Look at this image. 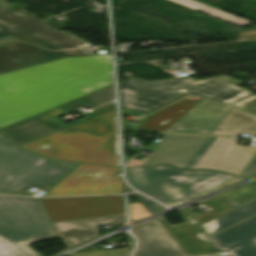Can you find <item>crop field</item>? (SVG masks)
Returning a JSON list of instances; mask_svg holds the SVG:
<instances>
[{"label":"crop field","mask_w":256,"mask_h":256,"mask_svg":"<svg viewBox=\"0 0 256 256\" xmlns=\"http://www.w3.org/2000/svg\"><path fill=\"white\" fill-rule=\"evenodd\" d=\"M111 84L110 54L68 57L0 74V128Z\"/></svg>","instance_id":"obj_1"},{"label":"crop field","mask_w":256,"mask_h":256,"mask_svg":"<svg viewBox=\"0 0 256 256\" xmlns=\"http://www.w3.org/2000/svg\"><path fill=\"white\" fill-rule=\"evenodd\" d=\"M20 147L52 159L120 167L115 109Z\"/></svg>","instance_id":"obj_2"},{"label":"crop field","mask_w":256,"mask_h":256,"mask_svg":"<svg viewBox=\"0 0 256 256\" xmlns=\"http://www.w3.org/2000/svg\"><path fill=\"white\" fill-rule=\"evenodd\" d=\"M120 106L152 112L189 93L228 105L252 92L214 77L195 82L191 77L145 81L130 78L119 83Z\"/></svg>","instance_id":"obj_3"},{"label":"crop field","mask_w":256,"mask_h":256,"mask_svg":"<svg viewBox=\"0 0 256 256\" xmlns=\"http://www.w3.org/2000/svg\"><path fill=\"white\" fill-rule=\"evenodd\" d=\"M54 237L40 199L0 195V256H39L28 244Z\"/></svg>","instance_id":"obj_4"},{"label":"crop field","mask_w":256,"mask_h":256,"mask_svg":"<svg viewBox=\"0 0 256 256\" xmlns=\"http://www.w3.org/2000/svg\"><path fill=\"white\" fill-rule=\"evenodd\" d=\"M127 177L135 188L175 206L235 176L209 170L182 171L160 165L128 168Z\"/></svg>","instance_id":"obj_5"},{"label":"crop field","mask_w":256,"mask_h":256,"mask_svg":"<svg viewBox=\"0 0 256 256\" xmlns=\"http://www.w3.org/2000/svg\"><path fill=\"white\" fill-rule=\"evenodd\" d=\"M79 163L51 161L17 148L0 135V193L17 195L29 184L54 186Z\"/></svg>","instance_id":"obj_6"},{"label":"crop field","mask_w":256,"mask_h":256,"mask_svg":"<svg viewBox=\"0 0 256 256\" xmlns=\"http://www.w3.org/2000/svg\"><path fill=\"white\" fill-rule=\"evenodd\" d=\"M11 38L50 50L92 46L79 37L59 32L34 17L0 8V41Z\"/></svg>","instance_id":"obj_7"},{"label":"crop field","mask_w":256,"mask_h":256,"mask_svg":"<svg viewBox=\"0 0 256 256\" xmlns=\"http://www.w3.org/2000/svg\"><path fill=\"white\" fill-rule=\"evenodd\" d=\"M113 99L114 89L112 85L79 99H76L74 101H71L62 106H59L57 108L14 123L10 126L0 129V131L12 143L19 146L64 129L62 126L55 123L51 119L83 107L85 105L93 108Z\"/></svg>","instance_id":"obj_8"},{"label":"crop field","mask_w":256,"mask_h":256,"mask_svg":"<svg viewBox=\"0 0 256 256\" xmlns=\"http://www.w3.org/2000/svg\"><path fill=\"white\" fill-rule=\"evenodd\" d=\"M120 168L80 163L43 196L122 193Z\"/></svg>","instance_id":"obj_9"},{"label":"crop field","mask_w":256,"mask_h":256,"mask_svg":"<svg viewBox=\"0 0 256 256\" xmlns=\"http://www.w3.org/2000/svg\"><path fill=\"white\" fill-rule=\"evenodd\" d=\"M255 151L256 145H235L232 139L209 137L184 169H209L238 176Z\"/></svg>","instance_id":"obj_10"},{"label":"crop field","mask_w":256,"mask_h":256,"mask_svg":"<svg viewBox=\"0 0 256 256\" xmlns=\"http://www.w3.org/2000/svg\"><path fill=\"white\" fill-rule=\"evenodd\" d=\"M41 200L52 222L124 212L122 195Z\"/></svg>","instance_id":"obj_11"},{"label":"crop field","mask_w":256,"mask_h":256,"mask_svg":"<svg viewBox=\"0 0 256 256\" xmlns=\"http://www.w3.org/2000/svg\"><path fill=\"white\" fill-rule=\"evenodd\" d=\"M207 138L208 136L164 133L150 157L142 161L132 159L126 167L168 164L183 169Z\"/></svg>","instance_id":"obj_12"},{"label":"crop field","mask_w":256,"mask_h":256,"mask_svg":"<svg viewBox=\"0 0 256 256\" xmlns=\"http://www.w3.org/2000/svg\"><path fill=\"white\" fill-rule=\"evenodd\" d=\"M86 55L80 48L50 51L15 39L0 42V73L56 60Z\"/></svg>","instance_id":"obj_13"},{"label":"crop field","mask_w":256,"mask_h":256,"mask_svg":"<svg viewBox=\"0 0 256 256\" xmlns=\"http://www.w3.org/2000/svg\"><path fill=\"white\" fill-rule=\"evenodd\" d=\"M179 212L185 223L171 225L164 216L156 221L188 256L217 253L190 207L179 209Z\"/></svg>","instance_id":"obj_14"},{"label":"crop field","mask_w":256,"mask_h":256,"mask_svg":"<svg viewBox=\"0 0 256 256\" xmlns=\"http://www.w3.org/2000/svg\"><path fill=\"white\" fill-rule=\"evenodd\" d=\"M230 108L202 99L165 132L210 135Z\"/></svg>","instance_id":"obj_15"},{"label":"crop field","mask_w":256,"mask_h":256,"mask_svg":"<svg viewBox=\"0 0 256 256\" xmlns=\"http://www.w3.org/2000/svg\"><path fill=\"white\" fill-rule=\"evenodd\" d=\"M211 240L217 250L231 253L221 256H256V216L211 237Z\"/></svg>","instance_id":"obj_16"},{"label":"crop field","mask_w":256,"mask_h":256,"mask_svg":"<svg viewBox=\"0 0 256 256\" xmlns=\"http://www.w3.org/2000/svg\"><path fill=\"white\" fill-rule=\"evenodd\" d=\"M134 233L141 243L135 256H187L155 220L134 229Z\"/></svg>","instance_id":"obj_17"},{"label":"crop field","mask_w":256,"mask_h":256,"mask_svg":"<svg viewBox=\"0 0 256 256\" xmlns=\"http://www.w3.org/2000/svg\"><path fill=\"white\" fill-rule=\"evenodd\" d=\"M110 223L111 226L125 223L124 213L88 219L52 223L58 237L95 233L96 224Z\"/></svg>","instance_id":"obj_18"},{"label":"crop field","mask_w":256,"mask_h":256,"mask_svg":"<svg viewBox=\"0 0 256 256\" xmlns=\"http://www.w3.org/2000/svg\"><path fill=\"white\" fill-rule=\"evenodd\" d=\"M242 133L256 134V116L231 109L211 135L232 137Z\"/></svg>","instance_id":"obj_19"},{"label":"crop field","mask_w":256,"mask_h":256,"mask_svg":"<svg viewBox=\"0 0 256 256\" xmlns=\"http://www.w3.org/2000/svg\"><path fill=\"white\" fill-rule=\"evenodd\" d=\"M195 104H197V102L183 99L154 113L136 128L164 131Z\"/></svg>","instance_id":"obj_20"},{"label":"crop field","mask_w":256,"mask_h":256,"mask_svg":"<svg viewBox=\"0 0 256 256\" xmlns=\"http://www.w3.org/2000/svg\"><path fill=\"white\" fill-rule=\"evenodd\" d=\"M256 215V198L202 225L209 237Z\"/></svg>","instance_id":"obj_21"},{"label":"crop field","mask_w":256,"mask_h":256,"mask_svg":"<svg viewBox=\"0 0 256 256\" xmlns=\"http://www.w3.org/2000/svg\"><path fill=\"white\" fill-rule=\"evenodd\" d=\"M171 1L182 4V5L190 7V8H193L195 10L204 12V13L212 15L214 17L223 19L225 21L234 23V24L239 25V26H244V25L250 23V22H248V21H246L242 18H239V17H236L234 15L222 12L220 10L208 7L206 5L194 2L192 0H171Z\"/></svg>","instance_id":"obj_22"},{"label":"crop field","mask_w":256,"mask_h":256,"mask_svg":"<svg viewBox=\"0 0 256 256\" xmlns=\"http://www.w3.org/2000/svg\"><path fill=\"white\" fill-rule=\"evenodd\" d=\"M98 233L62 238L67 250L98 237Z\"/></svg>","instance_id":"obj_23"},{"label":"crop field","mask_w":256,"mask_h":256,"mask_svg":"<svg viewBox=\"0 0 256 256\" xmlns=\"http://www.w3.org/2000/svg\"><path fill=\"white\" fill-rule=\"evenodd\" d=\"M231 106L256 114V94Z\"/></svg>","instance_id":"obj_24"},{"label":"crop field","mask_w":256,"mask_h":256,"mask_svg":"<svg viewBox=\"0 0 256 256\" xmlns=\"http://www.w3.org/2000/svg\"><path fill=\"white\" fill-rule=\"evenodd\" d=\"M133 195L141 202V204L145 207V209L149 212L150 215L155 214V213L160 212L165 209L161 205H159V204H157L139 194H133Z\"/></svg>","instance_id":"obj_25"},{"label":"crop field","mask_w":256,"mask_h":256,"mask_svg":"<svg viewBox=\"0 0 256 256\" xmlns=\"http://www.w3.org/2000/svg\"><path fill=\"white\" fill-rule=\"evenodd\" d=\"M130 216L133 220H139L149 216V214L140 203H137L130 205Z\"/></svg>","instance_id":"obj_26"},{"label":"crop field","mask_w":256,"mask_h":256,"mask_svg":"<svg viewBox=\"0 0 256 256\" xmlns=\"http://www.w3.org/2000/svg\"><path fill=\"white\" fill-rule=\"evenodd\" d=\"M256 175V154L240 174V177L247 179Z\"/></svg>","instance_id":"obj_27"},{"label":"crop field","mask_w":256,"mask_h":256,"mask_svg":"<svg viewBox=\"0 0 256 256\" xmlns=\"http://www.w3.org/2000/svg\"><path fill=\"white\" fill-rule=\"evenodd\" d=\"M240 180H243V179L237 178V179H235V180H233V181H231V182H229V183H227V184H225V185H223V186H221V187H219V188H217V189H215V190H218V189H220V188H223V187H225V186H227V185H230V184H232V183L238 182V181H240ZM215 190H212V191H210V192H213V191H215ZM210 192H208V193H210ZM208 193H206V194H208Z\"/></svg>","instance_id":"obj_28"},{"label":"crop field","mask_w":256,"mask_h":256,"mask_svg":"<svg viewBox=\"0 0 256 256\" xmlns=\"http://www.w3.org/2000/svg\"><path fill=\"white\" fill-rule=\"evenodd\" d=\"M254 182H256V181H254Z\"/></svg>","instance_id":"obj_29"}]
</instances>
